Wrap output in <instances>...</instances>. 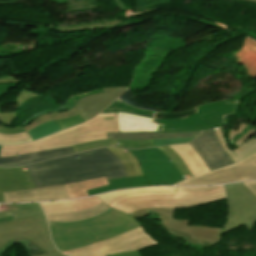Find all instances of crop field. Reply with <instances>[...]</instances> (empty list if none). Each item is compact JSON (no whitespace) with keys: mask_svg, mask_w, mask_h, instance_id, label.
Instances as JSON below:
<instances>
[{"mask_svg":"<svg viewBox=\"0 0 256 256\" xmlns=\"http://www.w3.org/2000/svg\"><path fill=\"white\" fill-rule=\"evenodd\" d=\"M71 153H73L71 147H66V148L48 150V151L39 152V153L20 155V157H17V156L0 157V166L11 167V166L32 164L40 161H45L51 158L71 154Z\"/></svg>","mask_w":256,"mask_h":256,"instance_id":"bc2a9ffb","label":"crop field"},{"mask_svg":"<svg viewBox=\"0 0 256 256\" xmlns=\"http://www.w3.org/2000/svg\"><path fill=\"white\" fill-rule=\"evenodd\" d=\"M256 179V154L242 162L183 181L177 185H204Z\"/></svg>","mask_w":256,"mask_h":256,"instance_id":"28ad6ade","label":"crop field"},{"mask_svg":"<svg viewBox=\"0 0 256 256\" xmlns=\"http://www.w3.org/2000/svg\"><path fill=\"white\" fill-rule=\"evenodd\" d=\"M175 209H140L131 213L144 217L151 213L153 219H159L164 228L191 236L193 240L205 241L212 245L221 240L222 229L214 227L193 226L189 221L173 219Z\"/></svg>","mask_w":256,"mask_h":256,"instance_id":"3316defc","label":"crop field"},{"mask_svg":"<svg viewBox=\"0 0 256 256\" xmlns=\"http://www.w3.org/2000/svg\"><path fill=\"white\" fill-rule=\"evenodd\" d=\"M158 149L161 150L170 160H172L173 164L176 166L184 179L192 177L191 173L181 160L180 156L175 153L170 147H162Z\"/></svg>","mask_w":256,"mask_h":256,"instance_id":"ae1a2a85","label":"crop field"},{"mask_svg":"<svg viewBox=\"0 0 256 256\" xmlns=\"http://www.w3.org/2000/svg\"><path fill=\"white\" fill-rule=\"evenodd\" d=\"M48 220L76 221L96 216L108 210L110 207L103 203L85 210L72 212L69 201L40 203Z\"/></svg>","mask_w":256,"mask_h":256,"instance_id":"22f410ed","label":"crop field"},{"mask_svg":"<svg viewBox=\"0 0 256 256\" xmlns=\"http://www.w3.org/2000/svg\"><path fill=\"white\" fill-rule=\"evenodd\" d=\"M121 20H117L115 22H105L102 24H94V25H83V26H78V27H73V28H59V31H67V30H75V29H94L96 27L101 28V29H116L118 26H114L115 24L119 23Z\"/></svg>","mask_w":256,"mask_h":256,"instance_id":"1d83c4d3","label":"crop field"},{"mask_svg":"<svg viewBox=\"0 0 256 256\" xmlns=\"http://www.w3.org/2000/svg\"><path fill=\"white\" fill-rule=\"evenodd\" d=\"M256 195V181L244 183Z\"/></svg>","mask_w":256,"mask_h":256,"instance_id":"c035e120","label":"crop field"},{"mask_svg":"<svg viewBox=\"0 0 256 256\" xmlns=\"http://www.w3.org/2000/svg\"><path fill=\"white\" fill-rule=\"evenodd\" d=\"M112 256H141L139 250L138 251H130V252H124Z\"/></svg>","mask_w":256,"mask_h":256,"instance_id":"b80d0937","label":"crop field"},{"mask_svg":"<svg viewBox=\"0 0 256 256\" xmlns=\"http://www.w3.org/2000/svg\"><path fill=\"white\" fill-rule=\"evenodd\" d=\"M117 157H119L125 167L129 177L141 176L142 171L134 156L127 150L122 148H109Z\"/></svg>","mask_w":256,"mask_h":256,"instance_id":"4177f3b9","label":"crop field"},{"mask_svg":"<svg viewBox=\"0 0 256 256\" xmlns=\"http://www.w3.org/2000/svg\"><path fill=\"white\" fill-rule=\"evenodd\" d=\"M0 83H20V80H14L13 76H4L0 78Z\"/></svg>","mask_w":256,"mask_h":256,"instance_id":"0bd39190","label":"crop field"},{"mask_svg":"<svg viewBox=\"0 0 256 256\" xmlns=\"http://www.w3.org/2000/svg\"><path fill=\"white\" fill-rule=\"evenodd\" d=\"M223 149L229 155V157L233 160V162L239 161V159L235 156L233 152L230 151L229 148L226 147V139H229L230 144L234 145L236 148L244 143L247 139H249L252 135L256 133V127L250 126L245 123H241L237 129V131L230 130L228 133L222 130V127H218L214 129Z\"/></svg>","mask_w":256,"mask_h":256,"instance_id":"4a817a6b","label":"crop field"},{"mask_svg":"<svg viewBox=\"0 0 256 256\" xmlns=\"http://www.w3.org/2000/svg\"><path fill=\"white\" fill-rule=\"evenodd\" d=\"M13 238H28L48 253L56 251L41 206L0 215V248Z\"/></svg>","mask_w":256,"mask_h":256,"instance_id":"e52e79f7","label":"crop field"},{"mask_svg":"<svg viewBox=\"0 0 256 256\" xmlns=\"http://www.w3.org/2000/svg\"><path fill=\"white\" fill-rule=\"evenodd\" d=\"M34 188L32 180L25 168H0V202L2 192Z\"/></svg>","mask_w":256,"mask_h":256,"instance_id":"733c2abd","label":"crop field"},{"mask_svg":"<svg viewBox=\"0 0 256 256\" xmlns=\"http://www.w3.org/2000/svg\"><path fill=\"white\" fill-rule=\"evenodd\" d=\"M166 230H168V229H166ZM168 232H169L171 235H173L175 238L180 237V238H182L186 243L189 242V243H191V244H193V245H197V246H199V247H201V248H203V249H205V248L211 246L210 244L205 243V242H196V241H192L189 236H186V235H183V234L174 232V231H172V230H168Z\"/></svg>","mask_w":256,"mask_h":256,"instance_id":"d32e631a","label":"crop field"},{"mask_svg":"<svg viewBox=\"0 0 256 256\" xmlns=\"http://www.w3.org/2000/svg\"><path fill=\"white\" fill-rule=\"evenodd\" d=\"M201 131L188 133L128 132L107 133L108 139H167L196 136Z\"/></svg>","mask_w":256,"mask_h":256,"instance_id":"00972430","label":"crop field"},{"mask_svg":"<svg viewBox=\"0 0 256 256\" xmlns=\"http://www.w3.org/2000/svg\"><path fill=\"white\" fill-rule=\"evenodd\" d=\"M224 187L227 192L229 214L223 234L243 225L250 232L256 221V196L243 183Z\"/></svg>","mask_w":256,"mask_h":256,"instance_id":"5a996713","label":"crop field"},{"mask_svg":"<svg viewBox=\"0 0 256 256\" xmlns=\"http://www.w3.org/2000/svg\"><path fill=\"white\" fill-rule=\"evenodd\" d=\"M242 160L256 152V138H250L243 145L233 151Z\"/></svg>","mask_w":256,"mask_h":256,"instance_id":"750c4746","label":"crop field"},{"mask_svg":"<svg viewBox=\"0 0 256 256\" xmlns=\"http://www.w3.org/2000/svg\"><path fill=\"white\" fill-rule=\"evenodd\" d=\"M4 202H31L68 198L63 185L3 193Z\"/></svg>","mask_w":256,"mask_h":256,"instance_id":"d9b57169","label":"crop field"},{"mask_svg":"<svg viewBox=\"0 0 256 256\" xmlns=\"http://www.w3.org/2000/svg\"><path fill=\"white\" fill-rule=\"evenodd\" d=\"M141 192H177V191H176V187L140 188V189H131V190H125V191L112 192L108 194L99 195L98 197L109 205L123 195L141 193Z\"/></svg>","mask_w":256,"mask_h":256,"instance_id":"730fd06b","label":"crop field"},{"mask_svg":"<svg viewBox=\"0 0 256 256\" xmlns=\"http://www.w3.org/2000/svg\"><path fill=\"white\" fill-rule=\"evenodd\" d=\"M38 95H36L35 93H33L32 91H28V90H22L20 92V94L17 96L16 98V107H19L22 103H24L26 100L30 99V98H34Z\"/></svg>","mask_w":256,"mask_h":256,"instance_id":"5866460e","label":"crop field"},{"mask_svg":"<svg viewBox=\"0 0 256 256\" xmlns=\"http://www.w3.org/2000/svg\"><path fill=\"white\" fill-rule=\"evenodd\" d=\"M238 108V101H223L205 104L183 114L152 113L134 109L117 99L102 113L128 112L147 116L153 118V123L160 124L158 132H187L225 125L227 117L237 114Z\"/></svg>","mask_w":256,"mask_h":256,"instance_id":"34b2d1b8","label":"crop field"},{"mask_svg":"<svg viewBox=\"0 0 256 256\" xmlns=\"http://www.w3.org/2000/svg\"><path fill=\"white\" fill-rule=\"evenodd\" d=\"M210 171L233 164L220 146L212 129L204 130L190 142Z\"/></svg>","mask_w":256,"mask_h":256,"instance_id":"d1516ede","label":"crop field"},{"mask_svg":"<svg viewBox=\"0 0 256 256\" xmlns=\"http://www.w3.org/2000/svg\"><path fill=\"white\" fill-rule=\"evenodd\" d=\"M129 151L138 160L144 176L109 181L108 186L88 190L89 195L128 187L173 185L183 180L172 162L157 148Z\"/></svg>","mask_w":256,"mask_h":256,"instance_id":"dd49c442","label":"crop field"},{"mask_svg":"<svg viewBox=\"0 0 256 256\" xmlns=\"http://www.w3.org/2000/svg\"><path fill=\"white\" fill-rule=\"evenodd\" d=\"M178 193H141L124 196L110 207L130 213L140 208H182L226 199L222 186L177 187Z\"/></svg>","mask_w":256,"mask_h":256,"instance_id":"f4fd0767","label":"crop field"},{"mask_svg":"<svg viewBox=\"0 0 256 256\" xmlns=\"http://www.w3.org/2000/svg\"><path fill=\"white\" fill-rule=\"evenodd\" d=\"M3 56H12V54H8V53H0V57H3Z\"/></svg>","mask_w":256,"mask_h":256,"instance_id":"b54c1fbb","label":"crop field"},{"mask_svg":"<svg viewBox=\"0 0 256 256\" xmlns=\"http://www.w3.org/2000/svg\"><path fill=\"white\" fill-rule=\"evenodd\" d=\"M38 205H39V203L0 205V214L5 213V212H9V211H13V210L38 206Z\"/></svg>","mask_w":256,"mask_h":256,"instance_id":"120bbe31","label":"crop field"},{"mask_svg":"<svg viewBox=\"0 0 256 256\" xmlns=\"http://www.w3.org/2000/svg\"><path fill=\"white\" fill-rule=\"evenodd\" d=\"M171 148L181 156L193 176L209 171L191 145H176Z\"/></svg>","mask_w":256,"mask_h":256,"instance_id":"dafd665d","label":"crop field"},{"mask_svg":"<svg viewBox=\"0 0 256 256\" xmlns=\"http://www.w3.org/2000/svg\"><path fill=\"white\" fill-rule=\"evenodd\" d=\"M70 202L72 204L73 211L88 208V207H91V206L101 203V201L96 196L91 197V198L74 200V201H70Z\"/></svg>","mask_w":256,"mask_h":256,"instance_id":"bd1437ed","label":"crop field"},{"mask_svg":"<svg viewBox=\"0 0 256 256\" xmlns=\"http://www.w3.org/2000/svg\"><path fill=\"white\" fill-rule=\"evenodd\" d=\"M85 122L81 115H76L74 117L64 118L60 120L47 122L33 130H31L29 135L34 139L43 138L48 135H51L59 130L64 128Z\"/></svg>","mask_w":256,"mask_h":256,"instance_id":"214f88e0","label":"crop field"},{"mask_svg":"<svg viewBox=\"0 0 256 256\" xmlns=\"http://www.w3.org/2000/svg\"><path fill=\"white\" fill-rule=\"evenodd\" d=\"M126 89V87L103 88L104 93L92 94L83 97L76 102L75 106L87 121L98 115Z\"/></svg>","mask_w":256,"mask_h":256,"instance_id":"cbeb9de0","label":"crop field"},{"mask_svg":"<svg viewBox=\"0 0 256 256\" xmlns=\"http://www.w3.org/2000/svg\"><path fill=\"white\" fill-rule=\"evenodd\" d=\"M249 1H253V2H256V0H249Z\"/></svg>","mask_w":256,"mask_h":256,"instance_id":"5d738f31","label":"crop field"},{"mask_svg":"<svg viewBox=\"0 0 256 256\" xmlns=\"http://www.w3.org/2000/svg\"><path fill=\"white\" fill-rule=\"evenodd\" d=\"M150 121V118L127 113H119L120 132L156 131L159 125L150 123Z\"/></svg>","mask_w":256,"mask_h":256,"instance_id":"92a150f3","label":"crop field"},{"mask_svg":"<svg viewBox=\"0 0 256 256\" xmlns=\"http://www.w3.org/2000/svg\"><path fill=\"white\" fill-rule=\"evenodd\" d=\"M21 132H25V130L22 126H18V127L13 128V129H8L5 126L0 124V133L14 134V133H21Z\"/></svg>","mask_w":256,"mask_h":256,"instance_id":"e1f06a70","label":"crop field"},{"mask_svg":"<svg viewBox=\"0 0 256 256\" xmlns=\"http://www.w3.org/2000/svg\"><path fill=\"white\" fill-rule=\"evenodd\" d=\"M16 112L0 113V123L5 126H11L13 119H15Z\"/></svg>","mask_w":256,"mask_h":256,"instance_id":"028f5c9d","label":"crop field"},{"mask_svg":"<svg viewBox=\"0 0 256 256\" xmlns=\"http://www.w3.org/2000/svg\"><path fill=\"white\" fill-rule=\"evenodd\" d=\"M78 114V111L77 109H75L74 107L68 111H63V112H57V113H52V114H47V115H43L37 119H35L34 121H32L29 125H27L25 127V129L27 130V132L29 130H31L32 128L44 123V122H47V121H50V120H54V119H59V118H63V117H69V116H74Z\"/></svg>","mask_w":256,"mask_h":256,"instance_id":"eef30255","label":"crop field"},{"mask_svg":"<svg viewBox=\"0 0 256 256\" xmlns=\"http://www.w3.org/2000/svg\"><path fill=\"white\" fill-rule=\"evenodd\" d=\"M32 141L34 140L27 134V132L21 133V134H15V135L0 134V144L16 145V144L28 143Z\"/></svg>","mask_w":256,"mask_h":256,"instance_id":"d3111659","label":"crop field"},{"mask_svg":"<svg viewBox=\"0 0 256 256\" xmlns=\"http://www.w3.org/2000/svg\"><path fill=\"white\" fill-rule=\"evenodd\" d=\"M104 185H108V182L105 177L88 180V181L71 183V184L65 185V187L70 198H80L88 195L86 190L104 186Z\"/></svg>","mask_w":256,"mask_h":256,"instance_id":"a9b5d70f","label":"crop field"},{"mask_svg":"<svg viewBox=\"0 0 256 256\" xmlns=\"http://www.w3.org/2000/svg\"><path fill=\"white\" fill-rule=\"evenodd\" d=\"M26 168L36 188L103 176L108 180L128 177L120 159L107 148L59 157Z\"/></svg>","mask_w":256,"mask_h":256,"instance_id":"8a807250","label":"crop field"},{"mask_svg":"<svg viewBox=\"0 0 256 256\" xmlns=\"http://www.w3.org/2000/svg\"><path fill=\"white\" fill-rule=\"evenodd\" d=\"M159 245L142 227H138L112 239L62 252L68 256H107L130 250Z\"/></svg>","mask_w":256,"mask_h":256,"instance_id":"d8731c3e","label":"crop field"},{"mask_svg":"<svg viewBox=\"0 0 256 256\" xmlns=\"http://www.w3.org/2000/svg\"><path fill=\"white\" fill-rule=\"evenodd\" d=\"M38 256H65V255H63V254L59 253L58 251H56V252H53L51 254H44V255H38Z\"/></svg>","mask_w":256,"mask_h":256,"instance_id":"03da06ac","label":"crop field"},{"mask_svg":"<svg viewBox=\"0 0 256 256\" xmlns=\"http://www.w3.org/2000/svg\"><path fill=\"white\" fill-rule=\"evenodd\" d=\"M195 137L191 138H180V139H168V140H102V141H93L89 143H84L80 145L72 146L74 152H80L85 150H90L98 147H129V148H146V147H155L160 145H169V144H179V143H188Z\"/></svg>","mask_w":256,"mask_h":256,"instance_id":"5142ce71","label":"crop field"},{"mask_svg":"<svg viewBox=\"0 0 256 256\" xmlns=\"http://www.w3.org/2000/svg\"><path fill=\"white\" fill-rule=\"evenodd\" d=\"M114 2L117 4L119 11L127 9L126 6L120 0H114Z\"/></svg>","mask_w":256,"mask_h":256,"instance_id":"c21b1889","label":"crop field"},{"mask_svg":"<svg viewBox=\"0 0 256 256\" xmlns=\"http://www.w3.org/2000/svg\"><path fill=\"white\" fill-rule=\"evenodd\" d=\"M48 222L53 242L61 252L109 239L140 226L135 217L111 208L82 221Z\"/></svg>","mask_w":256,"mask_h":256,"instance_id":"ac0d7876","label":"crop field"},{"mask_svg":"<svg viewBox=\"0 0 256 256\" xmlns=\"http://www.w3.org/2000/svg\"><path fill=\"white\" fill-rule=\"evenodd\" d=\"M106 132H119L118 113L101 115L79 126L22 146H0V156L26 154L107 139Z\"/></svg>","mask_w":256,"mask_h":256,"instance_id":"412701ff","label":"crop field"}]
</instances>
